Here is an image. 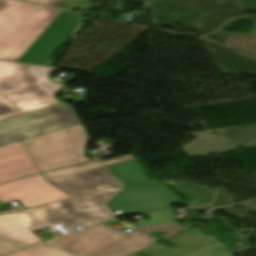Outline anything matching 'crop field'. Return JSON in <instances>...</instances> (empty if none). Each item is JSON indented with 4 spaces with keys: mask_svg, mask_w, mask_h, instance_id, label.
Returning <instances> with one entry per match:
<instances>
[{
    "mask_svg": "<svg viewBox=\"0 0 256 256\" xmlns=\"http://www.w3.org/2000/svg\"><path fill=\"white\" fill-rule=\"evenodd\" d=\"M47 182L74 199L0 215L1 238L29 246L43 242L33 230L62 223L74 232L116 217L105 203L124 185L106 166Z\"/></svg>",
    "mask_w": 256,
    "mask_h": 256,
    "instance_id": "1",
    "label": "crop field"
},
{
    "mask_svg": "<svg viewBox=\"0 0 256 256\" xmlns=\"http://www.w3.org/2000/svg\"><path fill=\"white\" fill-rule=\"evenodd\" d=\"M52 68L0 61V92L21 111L0 116V146L80 124L72 107L57 102L63 87Z\"/></svg>",
    "mask_w": 256,
    "mask_h": 256,
    "instance_id": "2",
    "label": "crop field"
},
{
    "mask_svg": "<svg viewBox=\"0 0 256 256\" xmlns=\"http://www.w3.org/2000/svg\"><path fill=\"white\" fill-rule=\"evenodd\" d=\"M80 28L77 13L0 0V59L50 66L59 47Z\"/></svg>",
    "mask_w": 256,
    "mask_h": 256,
    "instance_id": "3",
    "label": "crop field"
},
{
    "mask_svg": "<svg viewBox=\"0 0 256 256\" xmlns=\"http://www.w3.org/2000/svg\"><path fill=\"white\" fill-rule=\"evenodd\" d=\"M126 187L108 203L123 214L170 209L168 203L181 202L163 184L148 181L135 159L107 166ZM138 184L139 186H135Z\"/></svg>",
    "mask_w": 256,
    "mask_h": 256,
    "instance_id": "4",
    "label": "crop field"
},
{
    "mask_svg": "<svg viewBox=\"0 0 256 256\" xmlns=\"http://www.w3.org/2000/svg\"><path fill=\"white\" fill-rule=\"evenodd\" d=\"M155 241L138 230L126 233L100 225L46 244L77 256H127Z\"/></svg>",
    "mask_w": 256,
    "mask_h": 256,
    "instance_id": "5",
    "label": "crop field"
},
{
    "mask_svg": "<svg viewBox=\"0 0 256 256\" xmlns=\"http://www.w3.org/2000/svg\"><path fill=\"white\" fill-rule=\"evenodd\" d=\"M87 142L82 124L23 140L41 172L87 161L83 155Z\"/></svg>",
    "mask_w": 256,
    "mask_h": 256,
    "instance_id": "6",
    "label": "crop field"
},
{
    "mask_svg": "<svg viewBox=\"0 0 256 256\" xmlns=\"http://www.w3.org/2000/svg\"><path fill=\"white\" fill-rule=\"evenodd\" d=\"M70 198L63 191L47 183L42 174L0 185L2 203L19 200L27 208Z\"/></svg>",
    "mask_w": 256,
    "mask_h": 256,
    "instance_id": "7",
    "label": "crop field"
},
{
    "mask_svg": "<svg viewBox=\"0 0 256 256\" xmlns=\"http://www.w3.org/2000/svg\"><path fill=\"white\" fill-rule=\"evenodd\" d=\"M40 173L22 141L0 147V182Z\"/></svg>",
    "mask_w": 256,
    "mask_h": 256,
    "instance_id": "8",
    "label": "crop field"
},
{
    "mask_svg": "<svg viewBox=\"0 0 256 256\" xmlns=\"http://www.w3.org/2000/svg\"><path fill=\"white\" fill-rule=\"evenodd\" d=\"M177 247L171 249L176 256H182L200 248L219 242L214 236H205L204 231H186L177 236L167 239Z\"/></svg>",
    "mask_w": 256,
    "mask_h": 256,
    "instance_id": "9",
    "label": "crop field"
},
{
    "mask_svg": "<svg viewBox=\"0 0 256 256\" xmlns=\"http://www.w3.org/2000/svg\"><path fill=\"white\" fill-rule=\"evenodd\" d=\"M133 158H134L133 155L130 154V155H126V156L119 157V158L112 159V160L105 161V162H100V161L96 160V161L80 164L77 166L57 170L54 172L46 173L43 175H44L45 179L47 180V179H51V178H55V177H59V176H63V175L71 174V173H76V172H80V171H85V170H89V169H93V168L102 167V166H105L108 164L125 161V160H129V159H133Z\"/></svg>",
    "mask_w": 256,
    "mask_h": 256,
    "instance_id": "10",
    "label": "crop field"
},
{
    "mask_svg": "<svg viewBox=\"0 0 256 256\" xmlns=\"http://www.w3.org/2000/svg\"><path fill=\"white\" fill-rule=\"evenodd\" d=\"M3 256H72V255L47 245H38L31 248H24Z\"/></svg>",
    "mask_w": 256,
    "mask_h": 256,
    "instance_id": "11",
    "label": "crop field"
},
{
    "mask_svg": "<svg viewBox=\"0 0 256 256\" xmlns=\"http://www.w3.org/2000/svg\"><path fill=\"white\" fill-rule=\"evenodd\" d=\"M184 256H232L231 251L221 242Z\"/></svg>",
    "mask_w": 256,
    "mask_h": 256,
    "instance_id": "12",
    "label": "crop field"
},
{
    "mask_svg": "<svg viewBox=\"0 0 256 256\" xmlns=\"http://www.w3.org/2000/svg\"><path fill=\"white\" fill-rule=\"evenodd\" d=\"M135 228L147 234L153 231L170 232L171 234L164 236L165 238H168L176 233H179L185 230L183 227L179 226L178 224L155 225V226L140 225Z\"/></svg>",
    "mask_w": 256,
    "mask_h": 256,
    "instance_id": "13",
    "label": "crop field"
},
{
    "mask_svg": "<svg viewBox=\"0 0 256 256\" xmlns=\"http://www.w3.org/2000/svg\"><path fill=\"white\" fill-rule=\"evenodd\" d=\"M54 7L74 10L77 7L90 10V0H62Z\"/></svg>",
    "mask_w": 256,
    "mask_h": 256,
    "instance_id": "14",
    "label": "crop field"
},
{
    "mask_svg": "<svg viewBox=\"0 0 256 256\" xmlns=\"http://www.w3.org/2000/svg\"><path fill=\"white\" fill-rule=\"evenodd\" d=\"M149 256H175L168 248L158 243L145 251Z\"/></svg>",
    "mask_w": 256,
    "mask_h": 256,
    "instance_id": "15",
    "label": "crop field"
},
{
    "mask_svg": "<svg viewBox=\"0 0 256 256\" xmlns=\"http://www.w3.org/2000/svg\"><path fill=\"white\" fill-rule=\"evenodd\" d=\"M19 111L12 103L0 94V115Z\"/></svg>",
    "mask_w": 256,
    "mask_h": 256,
    "instance_id": "16",
    "label": "crop field"
},
{
    "mask_svg": "<svg viewBox=\"0 0 256 256\" xmlns=\"http://www.w3.org/2000/svg\"><path fill=\"white\" fill-rule=\"evenodd\" d=\"M21 248H24V247H21L19 245L0 239V255L6 254Z\"/></svg>",
    "mask_w": 256,
    "mask_h": 256,
    "instance_id": "17",
    "label": "crop field"
},
{
    "mask_svg": "<svg viewBox=\"0 0 256 256\" xmlns=\"http://www.w3.org/2000/svg\"><path fill=\"white\" fill-rule=\"evenodd\" d=\"M26 1L52 6V5L56 4L57 2H59L60 0H26Z\"/></svg>",
    "mask_w": 256,
    "mask_h": 256,
    "instance_id": "18",
    "label": "crop field"
},
{
    "mask_svg": "<svg viewBox=\"0 0 256 256\" xmlns=\"http://www.w3.org/2000/svg\"><path fill=\"white\" fill-rule=\"evenodd\" d=\"M21 209H25V207L23 206V207H19V208L11 209V210L3 211V212H0V214H5V213H9V212H13V211L21 210Z\"/></svg>",
    "mask_w": 256,
    "mask_h": 256,
    "instance_id": "19",
    "label": "crop field"
},
{
    "mask_svg": "<svg viewBox=\"0 0 256 256\" xmlns=\"http://www.w3.org/2000/svg\"><path fill=\"white\" fill-rule=\"evenodd\" d=\"M73 77H74V75L71 74L69 78L63 80L64 84H67V83H69V82L75 80Z\"/></svg>",
    "mask_w": 256,
    "mask_h": 256,
    "instance_id": "20",
    "label": "crop field"
},
{
    "mask_svg": "<svg viewBox=\"0 0 256 256\" xmlns=\"http://www.w3.org/2000/svg\"><path fill=\"white\" fill-rule=\"evenodd\" d=\"M147 248V247H146ZM146 248H144V249H146ZM144 249H142V250H140V251H137V252H135V253H133V254H131V255H129V256H136V255H138L140 252H142Z\"/></svg>",
    "mask_w": 256,
    "mask_h": 256,
    "instance_id": "21",
    "label": "crop field"
}]
</instances>
